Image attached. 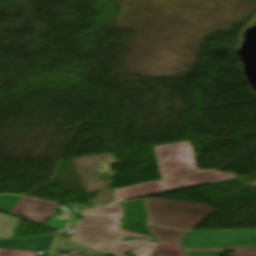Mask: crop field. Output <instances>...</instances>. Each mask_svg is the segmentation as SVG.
Instances as JSON below:
<instances>
[{"instance_id": "1", "label": "crop field", "mask_w": 256, "mask_h": 256, "mask_svg": "<svg viewBox=\"0 0 256 256\" xmlns=\"http://www.w3.org/2000/svg\"><path fill=\"white\" fill-rule=\"evenodd\" d=\"M85 220L70 221L68 228L77 229L76 234H66L72 240L92 249L111 253L119 238L118 230L122 211L120 205L83 211Z\"/></svg>"}, {"instance_id": "2", "label": "crop field", "mask_w": 256, "mask_h": 256, "mask_svg": "<svg viewBox=\"0 0 256 256\" xmlns=\"http://www.w3.org/2000/svg\"><path fill=\"white\" fill-rule=\"evenodd\" d=\"M149 222L153 225L192 230L206 219L213 209L193 203L169 201L162 199H147ZM212 215V214H211Z\"/></svg>"}, {"instance_id": "3", "label": "crop field", "mask_w": 256, "mask_h": 256, "mask_svg": "<svg viewBox=\"0 0 256 256\" xmlns=\"http://www.w3.org/2000/svg\"><path fill=\"white\" fill-rule=\"evenodd\" d=\"M236 178L232 173H218L216 171L187 176L152 184H147L143 186H138L134 188L124 189L116 191L117 202H122L126 200L142 198L158 193L178 190L190 186L202 185L213 183L222 180H228Z\"/></svg>"}, {"instance_id": "4", "label": "crop field", "mask_w": 256, "mask_h": 256, "mask_svg": "<svg viewBox=\"0 0 256 256\" xmlns=\"http://www.w3.org/2000/svg\"><path fill=\"white\" fill-rule=\"evenodd\" d=\"M189 146L190 141L154 147L162 180L205 171L191 167Z\"/></svg>"}, {"instance_id": "5", "label": "crop field", "mask_w": 256, "mask_h": 256, "mask_svg": "<svg viewBox=\"0 0 256 256\" xmlns=\"http://www.w3.org/2000/svg\"><path fill=\"white\" fill-rule=\"evenodd\" d=\"M56 204L41 199L23 197L11 215L40 224L53 213Z\"/></svg>"}, {"instance_id": "6", "label": "crop field", "mask_w": 256, "mask_h": 256, "mask_svg": "<svg viewBox=\"0 0 256 256\" xmlns=\"http://www.w3.org/2000/svg\"><path fill=\"white\" fill-rule=\"evenodd\" d=\"M156 245L157 244L145 241H128L118 243L110 255L123 256L128 251L136 249L131 254H135L137 256H150L156 250Z\"/></svg>"}, {"instance_id": "7", "label": "crop field", "mask_w": 256, "mask_h": 256, "mask_svg": "<svg viewBox=\"0 0 256 256\" xmlns=\"http://www.w3.org/2000/svg\"><path fill=\"white\" fill-rule=\"evenodd\" d=\"M151 231L160 239L162 243H168L173 245H180L179 239L186 235L188 232L179 231V230H172L166 228H159L149 226Z\"/></svg>"}, {"instance_id": "8", "label": "crop field", "mask_w": 256, "mask_h": 256, "mask_svg": "<svg viewBox=\"0 0 256 256\" xmlns=\"http://www.w3.org/2000/svg\"><path fill=\"white\" fill-rule=\"evenodd\" d=\"M20 223L17 218L0 214V240L14 238Z\"/></svg>"}, {"instance_id": "9", "label": "crop field", "mask_w": 256, "mask_h": 256, "mask_svg": "<svg viewBox=\"0 0 256 256\" xmlns=\"http://www.w3.org/2000/svg\"><path fill=\"white\" fill-rule=\"evenodd\" d=\"M158 251H159V254H163V256H184L182 248L179 246L160 243V247ZM155 254L156 252H154L151 256Z\"/></svg>"}, {"instance_id": "10", "label": "crop field", "mask_w": 256, "mask_h": 256, "mask_svg": "<svg viewBox=\"0 0 256 256\" xmlns=\"http://www.w3.org/2000/svg\"><path fill=\"white\" fill-rule=\"evenodd\" d=\"M21 197L0 196V211L9 214Z\"/></svg>"}, {"instance_id": "11", "label": "crop field", "mask_w": 256, "mask_h": 256, "mask_svg": "<svg viewBox=\"0 0 256 256\" xmlns=\"http://www.w3.org/2000/svg\"><path fill=\"white\" fill-rule=\"evenodd\" d=\"M186 256H216L224 255V252H185Z\"/></svg>"}, {"instance_id": "12", "label": "crop field", "mask_w": 256, "mask_h": 256, "mask_svg": "<svg viewBox=\"0 0 256 256\" xmlns=\"http://www.w3.org/2000/svg\"><path fill=\"white\" fill-rule=\"evenodd\" d=\"M120 236L134 237V238L140 237V238H146V239H151V240L154 239L152 237H148V236H144V235H140V234H134V233H131V232H128V231H125V230H121V235Z\"/></svg>"}, {"instance_id": "13", "label": "crop field", "mask_w": 256, "mask_h": 256, "mask_svg": "<svg viewBox=\"0 0 256 256\" xmlns=\"http://www.w3.org/2000/svg\"><path fill=\"white\" fill-rule=\"evenodd\" d=\"M220 250H242V248L185 249V251H220Z\"/></svg>"}, {"instance_id": "14", "label": "crop field", "mask_w": 256, "mask_h": 256, "mask_svg": "<svg viewBox=\"0 0 256 256\" xmlns=\"http://www.w3.org/2000/svg\"><path fill=\"white\" fill-rule=\"evenodd\" d=\"M230 256H256V249H250V252H235Z\"/></svg>"}, {"instance_id": "15", "label": "crop field", "mask_w": 256, "mask_h": 256, "mask_svg": "<svg viewBox=\"0 0 256 256\" xmlns=\"http://www.w3.org/2000/svg\"><path fill=\"white\" fill-rule=\"evenodd\" d=\"M127 240H145V239H140V238H137V239H134V238H123V237H120L118 242H122V241H127ZM145 241H151V240H145ZM151 242H157L156 239L154 241H151Z\"/></svg>"}, {"instance_id": "16", "label": "crop field", "mask_w": 256, "mask_h": 256, "mask_svg": "<svg viewBox=\"0 0 256 256\" xmlns=\"http://www.w3.org/2000/svg\"><path fill=\"white\" fill-rule=\"evenodd\" d=\"M188 150H189V155H190V159H191V164H192L193 167L196 168V165H195V162H194V159H193V154H192V149H191V147L188 148Z\"/></svg>"}]
</instances>
